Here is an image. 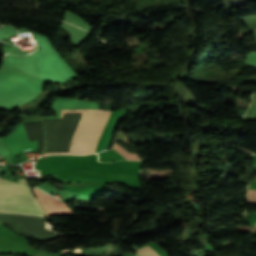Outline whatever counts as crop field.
<instances>
[{
	"mask_svg": "<svg viewBox=\"0 0 256 256\" xmlns=\"http://www.w3.org/2000/svg\"><path fill=\"white\" fill-rule=\"evenodd\" d=\"M135 252H136V254H138L140 256H159L154 250H152L148 246L138 249Z\"/></svg>",
	"mask_w": 256,
	"mask_h": 256,
	"instance_id": "crop-field-4",
	"label": "crop field"
},
{
	"mask_svg": "<svg viewBox=\"0 0 256 256\" xmlns=\"http://www.w3.org/2000/svg\"><path fill=\"white\" fill-rule=\"evenodd\" d=\"M40 204L44 208L47 216H63L75 214L69 205L59 201L58 199L49 196L42 191L33 188Z\"/></svg>",
	"mask_w": 256,
	"mask_h": 256,
	"instance_id": "crop-field-3",
	"label": "crop field"
},
{
	"mask_svg": "<svg viewBox=\"0 0 256 256\" xmlns=\"http://www.w3.org/2000/svg\"><path fill=\"white\" fill-rule=\"evenodd\" d=\"M86 111H111L86 109ZM101 112H85L73 137L68 154L94 153L99 135L110 114Z\"/></svg>",
	"mask_w": 256,
	"mask_h": 256,
	"instance_id": "crop-field-2",
	"label": "crop field"
},
{
	"mask_svg": "<svg viewBox=\"0 0 256 256\" xmlns=\"http://www.w3.org/2000/svg\"><path fill=\"white\" fill-rule=\"evenodd\" d=\"M247 200L256 203V190L248 189Z\"/></svg>",
	"mask_w": 256,
	"mask_h": 256,
	"instance_id": "crop-field-5",
	"label": "crop field"
},
{
	"mask_svg": "<svg viewBox=\"0 0 256 256\" xmlns=\"http://www.w3.org/2000/svg\"><path fill=\"white\" fill-rule=\"evenodd\" d=\"M0 212L46 216L25 178L19 179L18 184L0 178Z\"/></svg>",
	"mask_w": 256,
	"mask_h": 256,
	"instance_id": "crop-field-1",
	"label": "crop field"
}]
</instances>
